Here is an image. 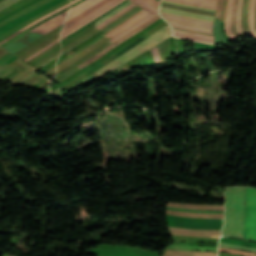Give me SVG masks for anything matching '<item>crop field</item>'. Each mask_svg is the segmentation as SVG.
Returning a JSON list of instances; mask_svg holds the SVG:
<instances>
[{
	"instance_id": "obj_28",
	"label": "crop field",
	"mask_w": 256,
	"mask_h": 256,
	"mask_svg": "<svg viewBox=\"0 0 256 256\" xmlns=\"http://www.w3.org/2000/svg\"><path fill=\"white\" fill-rule=\"evenodd\" d=\"M219 246H222V247H230V248H237V249H242V250H246V251H250V252L256 253V248L238 246V245H233V244H228V243H222V242H220Z\"/></svg>"
},
{
	"instance_id": "obj_27",
	"label": "crop field",
	"mask_w": 256,
	"mask_h": 256,
	"mask_svg": "<svg viewBox=\"0 0 256 256\" xmlns=\"http://www.w3.org/2000/svg\"><path fill=\"white\" fill-rule=\"evenodd\" d=\"M219 251L228 252V253H232V254H238V255H244V256H256V254H254V253L243 252V251L232 250V249L221 248V247H219Z\"/></svg>"
},
{
	"instance_id": "obj_11",
	"label": "crop field",
	"mask_w": 256,
	"mask_h": 256,
	"mask_svg": "<svg viewBox=\"0 0 256 256\" xmlns=\"http://www.w3.org/2000/svg\"><path fill=\"white\" fill-rule=\"evenodd\" d=\"M150 13L146 12V11H142L141 13H139L137 16H135L134 18H132L131 20L127 21L126 23H124L123 25L117 27L116 29H114L113 31H111L110 33H108L106 36H111L114 37L117 34L121 33L122 31H124L126 28H128L129 26L133 25L135 22H137L139 19L143 18L144 16L148 15Z\"/></svg>"
},
{
	"instance_id": "obj_29",
	"label": "crop field",
	"mask_w": 256,
	"mask_h": 256,
	"mask_svg": "<svg viewBox=\"0 0 256 256\" xmlns=\"http://www.w3.org/2000/svg\"><path fill=\"white\" fill-rule=\"evenodd\" d=\"M122 1H124V0L119 1V2L116 3L115 5H113L112 7H110L109 9H107L106 11H104L103 13H101V14L97 15L96 17H94L93 19H95V18L101 16L102 14L106 13V12L109 11L110 9H112V8H114L115 6H117L118 4H120ZM93 19H91V20L85 22L84 24L80 25V26L77 27L76 29H74V30H72L71 32L67 33L66 35H64L63 37H61V39H63V38L66 37L67 35L71 34V33L74 32L75 30L79 29V28L82 27L83 25L87 24L88 22L92 21Z\"/></svg>"
},
{
	"instance_id": "obj_9",
	"label": "crop field",
	"mask_w": 256,
	"mask_h": 256,
	"mask_svg": "<svg viewBox=\"0 0 256 256\" xmlns=\"http://www.w3.org/2000/svg\"><path fill=\"white\" fill-rule=\"evenodd\" d=\"M167 207L200 209V210H224V206H218V205H196V204H181V203H168Z\"/></svg>"
},
{
	"instance_id": "obj_4",
	"label": "crop field",
	"mask_w": 256,
	"mask_h": 256,
	"mask_svg": "<svg viewBox=\"0 0 256 256\" xmlns=\"http://www.w3.org/2000/svg\"><path fill=\"white\" fill-rule=\"evenodd\" d=\"M167 224L195 229H221L223 219H196L167 215Z\"/></svg>"
},
{
	"instance_id": "obj_20",
	"label": "crop field",
	"mask_w": 256,
	"mask_h": 256,
	"mask_svg": "<svg viewBox=\"0 0 256 256\" xmlns=\"http://www.w3.org/2000/svg\"><path fill=\"white\" fill-rule=\"evenodd\" d=\"M255 8H256V0H251L250 8H249V22H250L251 31L256 39V32L254 28Z\"/></svg>"
},
{
	"instance_id": "obj_26",
	"label": "crop field",
	"mask_w": 256,
	"mask_h": 256,
	"mask_svg": "<svg viewBox=\"0 0 256 256\" xmlns=\"http://www.w3.org/2000/svg\"><path fill=\"white\" fill-rule=\"evenodd\" d=\"M144 0H135L133 1L135 4H137L138 6L142 7L143 9L153 13V14H157V8L151 6V5H148L146 3L143 2Z\"/></svg>"
},
{
	"instance_id": "obj_36",
	"label": "crop field",
	"mask_w": 256,
	"mask_h": 256,
	"mask_svg": "<svg viewBox=\"0 0 256 256\" xmlns=\"http://www.w3.org/2000/svg\"><path fill=\"white\" fill-rule=\"evenodd\" d=\"M58 41H59V39H57L56 41H54L53 43H51V44H50V45H48L47 47H45V48L41 49L40 51H38L37 53H35L32 57H34V56H36L37 54L41 53L42 51L46 50L47 48H49L50 46L54 45V44H55L56 42H58ZM32 57H30V58L26 59L25 61H27V60L31 59Z\"/></svg>"
},
{
	"instance_id": "obj_38",
	"label": "crop field",
	"mask_w": 256,
	"mask_h": 256,
	"mask_svg": "<svg viewBox=\"0 0 256 256\" xmlns=\"http://www.w3.org/2000/svg\"><path fill=\"white\" fill-rule=\"evenodd\" d=\"M135 6V5H134ZM134 6H132L131 8H133ZM131 8H129L128 10H126L125 12H123L122 14H120L119 16L115 17L114 19H112L111 21H109L108 23H106L105 25H103L102 27H100L99 29L105 27L106 25L110 24L111 22H113L114 20H116L118 17H120L121 15H123L124 13H126L127 11H129Z\"/></svg>"
},
{
	"instance_id": "obj_12",
	"label": "crop field",
	"mask_w": 256,
	"mask_h": 256,
	"mask_svg": "<svg viewBox=\"0 0 256 256\" xmlns=\"http://www.w3.org/2000/svg\"><path fill=\"white\" fill-rule=\"evenodd\" d=\"M162 256H216V253L165 250Z\"/></svg>"
},
{
	"instance_id": "obj_42",
	"label": "crop field",
	"mask_w": 256,
	"mask_h": 256,
	"mask_svg": "<svg viewBox=\"0 0 256 256\" xmlns=\"http://www.w3.org/2000/svg\"><path fill=\"white\" fill-rule=\"evenodd\" d=\"M170 24L179 25V24H175V23H170ZM179 26H184V25H179ZM184 27H189V26H184ZM189 28H194V27H189ZM195 29L207 30V31H211L212 32V30H210V29H202V28H195Z\"/></svg>"
},
{
	"instance_id": "obj_49",
	"label": "crop field",
	"mask_w": 256,
	"mask_h": 256,
	"mask_svg": "<svg viewBox=\"0 0 256 256\" xmlns=\"http://www.w3.org/2000/svg\"><path fill=\"white\" fill-rule=\"evenodd\" d=\"M133 1V0H132Z\"/></svg>"
},
{
	"instance_id": "obj_2",
	"label": "crop field",
	"mask_w": 256,
	"mask_h": 256,
	"mask_svg": "<svg viewBox=\"0 0 256 256\" xmlns=\"http://www.w3.org/2000/svg\"><path fill=\"white\" fill-rule=\"evenodd\" d=\"M171 28L167 25L155 34L151 35L145 41L131 49L130 51L124 53L123 55L119 56L115 61L110 63L109 65L93 72L100 78L103 77L105 74L113 71L117 67H119L124 62L134 58L135 56L139 55L143 51L147 50L148 48L158 44L159 42L163 41L164 39L170 37Z\"/></svg>"
},
{
	"instance_id": "obj_14",
	"label": "crop field",
	"mask_w": 256,
	"mask_h": 256,
	"mask_svg": "<svg viewBox=\"0 0 256 256\" xmlns=\"http://www.w3.org/2000/svg\"><path fill=\"white\" fill-rule=\"evenodd\" d=\"M183 4L196 5L216 9L217 2L210 0H171Z\"/></svg>"
},
{
	"instance_id": "obj_35",
	"label": "crop field",
	"mask_w": 256,
	"mask_h": 256,
	"mask_svg": "<svg viewBox=\"0 0 256 256\" xmlns=\"http://www.w3.org/2000/svg\"><path fill=\"white\" fill-rule=\"evenodd\" d=\"M141 11H142V9H140V10H138L137 12L133 13V14L130 15L128 18H126L124 21H122L121 23H119L117 26H119V25L122 24L123 22L129 20L130 18L134 17L135 15H137V14H138L139 12H141ZM117 26H115L114 28H116ZM114 28H112L111 30H113ZM111 30H109L108 32H110ZM108 32H107V33H108ZM107 33H105V34H107ZM105 34H104V35H105Z\"/></svg>"
},
{
	"instance_id": "obj_25",
	"label": "crop field",
	"mask_w": 256,
	"mask_h": 256,
	"mask_svg": "<svg viewBox=\"0 0 256 256\" xmlns=\"http://www.w3.org/2000/svg\"><path fill=\"white\" fill-rule=\"evenodd\" d=\"M161 5H163V6H168V7H172V8H177V9H181V10L192 11V12H197V13H202V14H208V15H213V16H215V13H213V12H208V11H204V10H198V9L180 7V6H175V5H171V4H167V3H163V2L161 3Z\"/></svg>"
},
{
	"instance_id": "obj_32",
	"label": "crop field",
	"mask_w": 256,
	"mask_h": 256,
	"mask_svg": "<svg viewBox=\"0 0 256 256\" xmlns=\"http://www.w3.org/2000/svg\"><path fill=\"white\" fill-rule=\"evenodd\" d=\"M222 4H223V0H218L216 18L219 20L221 18Z\"/></svg>"
},
{
	"instance_id": "obj_16",
	"label": "crop field",
	"mask_w": 256,
	"mask_h": 256,
	"mask_svg": "<svg viewBox=\"0 0 256 256\" xmlns=\"http://www.w3.org/2000/svg\"><path fill=\"white\" fill-rule=\"evenodd\" d=\"M233 1L234 0H229L228 2V8H227V14H226V20H225V32L230 38V40L233 43H235L237 40L234 38L233 34L230 31V21H231V13L233 8Z\"/></svg>"
},
{
	"instance_id": "obj_13",
	"label": "crop field",
	"mask_w": 256,
	"mask_h": 256,
	"mask_svg": "<svg viewBox=\"0 0 256 256\" xmlns=\"http://www.w3.org/2000/svg\"><path fill=\"white\" fill-rule=\"evenodd\" d=\"M167 214L189 216V217H201V218H223V214H204V213H188L167 210Z\"/></svg>"
},
{
	"instance_id": "obj_46",
	"label": "crop field",
	"mask_w": 256,
	"mask_h": 256,
	"mask_svg": "<svg viewBox=\"0 0 256 256\" xmlns=\"http://www.w3.org/2000/svg\"><path fill=\"white\" fill-rule=\"evenodd\" d=\"M255 28H256V18H255Z\"/></svg>"
},
{
	"instance_id": "obj_18",
	"label": "crop field",
	"mask_w": 256,
	"mask_h": 256,
	"mask_svg": "<svg viewBox=\"0 0 256 256\" xmlns=\"http://www.w3.org/2000/svg\"><path fill=\"white\" fill-rule=\"evenodd\" d=\"M166 249H174V250H197V251H216L217 247H201V246H186V245H169Z\"/></svg>"
},
{
	"instance_id": "obj_10",
	"label": "crop field",
	"mask_w": 256,
	"mask_h": 256,
	"mask_svg": "<svg viewBox=\"0 0 256 256\" xmlns=\"http://www.w3.org/2000/svg\"><path fill=\"white\" fill-rule=\"evenodd\" d=\"M100 1L101 0H85V1L81 2L80 4L70 8L67 20L75 17L76 15H78L79 13L84 11L85 9L95 5L96 3L100 2Z\"/></svg>"
},
{
	"instance_id": "obj_39",
	"label": "crop field",
	"mask_w": 256,
	"mask_h": 256,
	"mask_svg": "<svg viewBox=\"0 0 256 256\" xmlns=\"http://www.w3.org/2000/svg\"><path fill=\"white\" fill-rule=\"evenodd\" d=\"M145 2H147V3H149V4H151V5H153V6L158 8V3L159 2L156 1V0H145Z\"/></svg>"
},
{
	"instance_id": "obj_43",
	"label": "crop field",
	"mask_w": 256,
	"mask_h": 256,
	"mask_svg": "<svg viewBox=\"0 0 256 256\" xmlns=\"http://www.w3.org/2000/svg\"><path fill=\"white\" fill-rule=\"evenodd\" d=\"M8 51L6 50V49H1L0 50V58L3 56V55H5L6 53H7Z\"/></svg>"
},
{
	"instance_id": "obj_21",
	"label": "crop field",
	"mask_w": 256,
	"mask_h": 256,
	"mask_svg": "<svg viewBox=\"0 0 256 256\" xmlns=\"http://www.w3.org/2000/svg\"><path fill=\"white\" fill-rule=\"evenodd\" d=\"M242 4L243 0H238L237 9H236V29L239 34H243V28L241 26V13H242Z\"/></svg>"
},
{
	"instance_id": "obj_8",
	"label": "crop field",
	"mask_w": 256,
	"mask_h": 256,
	"mask_svg": "<svg viewBox=\"0 0 256 256\" xmlns=\"http://www.w3.org/2000/svg\"><path fill=\"white\" fill-rule=\"evenodd\" d=\"M173 35L176 37H179V38L197 40V41H202V42H209V43L214 42V37H212V36L197 34V33H192V32H186V31H181V30L173 29Z\"/></svg>"
},
{
	"instance_id": "obj_45",
	"label": "crop field",
	"mask_w": 256,
	"mask_h": 256,
	"mask_svg": "<svg viewBox=\"0 0 256 256\" xmlns=\"http://www.w3.org/2000/svg\"><path fill=\"white\" fill-rule=\"evenodd\" d=\"M77 1H79V0H75V1L71 2V4H73V3L77 2Z\"/></svg>"
},
{
	"instance_id": "obj_48",
	"label": "crop field",
	"mask_w": 256,
	"mask_h": 256,
	"mask_svg": "<svg viewBox=\"0 0 256 256\" xmlns=\"http://www.w3.org/2000/svg\"><path fill=\"white\" fill-rule=\"evenodd\" d=\"M217 1V0H216Z\"/></svg>"
},
{
	"instance_id": "obj_6",
	"label": "crop field",
	"mask_w": 256,
	"mask_h": 256,
	"mask_svg": "<svg viewBox=\"0 0 256 256\" xmlns=\"http://www.w3.org/2000/svg\"><path fill=\"white\" fill-rule=\"evenodd\" d=\"M159 17V15L157 14L155 17H153L151 20H149L148 22H146L145 24L141 25L140 27H138L137 29L131 31L130 33H128L126 36H124L123 38L113 42L111 45H109L108 47H106L104 50H102L100 53H98L97 55L93 56L92 58L86 60L85 62H83L82 64H80L78 67L81 69L84 66H86L87 64L97 60L100 56H102L103 54H105L106 52H108L109 50H111L112 48L116 47L117 45H119L120 43H122L123 41L127 40L128 38H130L131 36H133L134 34L138 33L139 31L143 30L144 28H146L147 26H149L151 23H153L154 21H156Z\"/></svg>"
},
{
	"instance_id": "obj_44",
	"label": "crop field",
	"mask_w": 256,
	"mask_h": 256,
	"mask_svg": "<svg viewBox=\"0 0 256 256\" xmlns=\"http://www.w3.org/2000/svg\"><path fill=\"white\" fill-rule=\"evenodd\" d=\"M219 256H235V255H229V254H222V253H219Z\"/></svg>"
},
{
	"instance_id": "obj_24",
	"label": "crop field",
	"mask_w": 256,
	"mask_h": 256,
	"mask_svg": "<svg viewBox=\"0 0 256 256\" xmlns=\"http://www.w3.org/2000/svg\"><path fill=\"white\" fill-rule=\"evenodd\" d=\"M153 16L150 14L147 17L141 19L140 21H138L136 24H134L132 27H130L129 29H127L126 31L122 32L121 34H119L118 36L114 37L113 39H111L110 41H115L118 38L124 36L125 34H127L129 31H131L132 29L140 26L141 24L145 23L146 21H148L150 18H152Z\"/></svg>"
},
{
	"instance_id": "obj_22",
	"label": "crop field",
	"mask_w": 256,
	"mask_h": 256,
	"mask_svg": "<svg viewBox=\"0 0 256 256\" xmlns=\"http://www.w3.org/2000/svg\"><path fill=\"white\" fill-rule=\"evenodd\" d=\"M67 6H69V3H68V4H66V5H64V6H62V7H60L59 9H57V10H55V11H53V12H51V13L47 14L46 16H44V17H42V18L38 19L37 21H35V22H33V23L29 24L28 26H26V27L22 28L19 32L26 30L27 28H29V27L33 26L34 24H36V23H38V22L42 21L43 19H45V18L49 17L50 15H52V14H54V13H56V12L60 11L61 9L65 8V7H67ZM19 32H17V33H15V34H13V35H12V36H10L9 38H7V39H5L4 41H2V42L0 43V45H1V44H3L4 42L8 41V40H9V39H11L12 37H14V36H15L16 34H18Z\"/></svg>"
},
{
	"instance_id": "obj_31",
	"label": "crop field",
	"mask_w": 256,
	"mask_h": 256,
	"mask_svg": "<svg viewBox=\"0 0 256 256\" xmlns=\"http://www.w3.org/2000/svg\"><path fill=\"white\" fill-rule=\"evenodd\" d=\"M17 1H19V0H5V1L1 2L0 3V10L10 6L11 4H13V3H15Z\"/></svg>"
},
{
	"instance_id": "obj_5",
	"label": "crop field",
	"mask_w": 256,
	"mask_h": 256,
	"mask_svg": "<svg viewBox=\"0 0 256 256\" xmlns=\"http://www.w3.org/2000/svg\"><path fill=\"white\" fill-rule=\"evenodd\" d=\"M244 238L256 240V189L248 188Z\"/></svg>"
},
{
	"instance_id": "obj_47",
	"label": "crop field",
	"mask_w": 256,
	"mask_h": 256,
	"mask_svg": "<svg viewBox=\"0 0 256 256\" xmlns=\"http://www.w3.org/2000/svg\"><path fill=\"white\" fill-rule=\"evenodd\" d=\"M10 256V255H9Z\"/></svg>"
},
{
	"instance_id": "obj_30",
	"label": "crop field",
	"mask_w": 256,
	"mask_h": 256,
	"mask_svg": "<svg viewBox=\"0 0 256 256\" xmlns=\"http://www.w3.org/2000/svg\"><path fill=\"white\" fill-rule=\"evenodd\" d=\"M236 4H237V0H235L234 2V8H233V13H232V24H231V30L233 32V34L236 36V38H239L235 28H234V21H235V9H236Z\"/></svg>"
},
{
	"instance_id": "obj_23",
	"label": "crop field",
	"mask_w": 256,
	"mask_h": 256,
	"mask_svg": "<svg viewBox=\"0 0 256 256\" xmlns=\"http://www.w3.org/2000/svg\"><path fill=\"white\" fill-rule=\"evenodd\" d=\"M131 2H126L123 5H121L120 7L116 8L115 10H113L112 12L108 13L107 15H105L104 17L100 18L98 21L95 22V26L99 25L100 23H102L103 21L107 20L108 18L114 16L115 14H117L119 11H121L123 8H125L126 6H128Z\"/></svg>"
},
{
	"instance_id": "obj_34",
	"label": "crop field",
	"mask_w": 256,
	"mask_h": 256,
	"mask_svg": "<svg viewBox=\"0 0 256 256\" xmlns=\"http://www.w3.org/2000/svg\"><path fill=\"white\" fill-rule=\"evenodd\" d=\"M163 2H167V3H171V4H175V5H181V6H186V7H192V8H198V9H204V10H209V11H213L215 12V10L213 9H205V8H199V7H193V6H187V5H183V4H179V3H175V2H171V1H165L162 0Z\"/></svg>"
},
{
	"instance_id": "obj_1",
	"label": "crop field",
	"mask_w": 256,
	"mask_h": 256,
	"mask_svg": "<svg viewBox=\"0 0 256 256\" xmlns=\"http://www.w3.org/2000/svg\"><path fill=\"white\" fill-rule=\"evenodd\" d=\"M246 187L225 190L226 211L222 236L242 238Z\"/></svg>"
},
{
	"instance_id": "obj_15",
	"label": "crop field",
	"mask_w": 256,
	"mask_h": 256,
	"mask_svg": "<svg viewBox=\"0 0 256 256\" xmlns=\"http://www.w3.org/2000/svg\"><path fill=\"white\" fill-rule=\"evenodd\" d=\"M111 0H103L100 3H98L97 5L93 6L92 8L88 9L87 11L81 13L80 15L76 16L75 18L71 19L70 21L66 22L65 27L75 23L76 21L86 17L87 15H89L90 13L94 12L95 10L99 9L100 7L104 6L105 4H107L108 2H110ZM64 27V28H65Z\"/></svg>"
},
{
	"instance_id": "obj_37",
	"label": "crop field",
	"mask_w": 256,
	"mask_h": 256,
	"mask_svg": "<svg viewBox=\"0 0 256 256\" xmlns=\"http://www.w3.org/2000/svg\"><path fill=\"white\" fill-rule=\"evenodd\" d=\"M227 1H228V0H225V2H224L221 21H224V19H225L226 8H227Z\"/></svg>"
},
{
	"instance_id": "obj_40",
	"label": "crop field",
	"mask_w": 256,
	"mask_h": 256,
	"mask_svg": "<svg viewBox=\"0 0 256 256\" xmlns=\"http://www.w3.org/2000/svg\"><path fill=\"white\" fill-rule=\"evenodd\" d=\"M132 5H134V4H133V3L130 4V5H129L128 7H126L124 10L128 9V8L131 7ZM124 10H122L121 12H123ZM121 12H119L118 14H120ZM118 14H117V15H118ZM117 15H115V16H117ZM115 16H114V17H115ZM114 17H112V18H114ZM112 18L108 19L107 21H105V22L102 23L101 25L105 24L106 22H108V21L111 20ZM101 25H100V26H101ZM100 26H98V27H100Z\"/></svg>"
},
{
	"instance_id": "obj_7",
	"label": "crop field",
	"mask_w": 256,
	"mask_h": 256,
	"mask_svg": "<svg viewBox=\"0 0 256 256\" xmlns=\"http://www.w3.org/2000/svg\"><path fill=\"white\" fill-rule=\"evenodd\" d=\"M67 11L33 28L32 32L47 34L54 28L64 23Z\"/></svg>"
},
{
	"instance_id": "obj_17",
	"label": "crop field",
	"mask_w": 256,
	"mask_h": 256,
	"mask_svg": "<svg viewBox=\"0 0 256 256\" xmlns=\"http://www.w3.org/2000/svg\"><path fill=\"white\" fill-rule=\"evenodd\" d=\"M119 0H113L110 3H108L107 5H105L104 7L100 8L99 10H97L96 12L92 13L91 15L87 16L86 18L80 20L79 22L75 23L74 25L68 27L67 29L63 30L61 33V36L64 35L66 32L72 30L73 28L77 27L78 25L84 23L85 21L89 20L90 18L94 17L95 15L99 14L100 12H102L104 9L112 6L113 4H115L116 2H118Z\"/></svg>"
},
{
	"instance_id": "obj_19",
	"label": "crop field",
	"mask_w": 256,
	"mask_h": 256,
	"mask_svg": "<svg viewBox=\"0 0 256 256\" xmlns=\"http://www.w3.org/2000/svg\"><path fill=\"white\" fill-rule=\"evenodd\" d=\"M249 1L250 0H244L243 5V13H242V26L244 28V31L246 35H252L250 28L248 26V7H249Z\"/></svg>"
},
{
	"instance_id": "obj_3",
	"label": "crop field",
	"mask_w": 256,
	"mask_h": 256,
	"mask_svg": "<svg viewBox=\"0 0 256 256\" xmlns=\"http://www.w3.org/2000/svg\"><path fill=\"white\" fill-rule=\"evenodd\" d=\"M160 12L170 14V15L200 19V20L211 21V22H213L214 18H215L213 16L190 13V12L180 11V10L167 8V7H163V6H161ZM162 13H160V14L163 16V18H165L167 21H170V22H175V23H180V24L195 26V27L210 28V29H212V27H213V23H211V22L175 17V16H170V15H166V14H162Z\"/></svg>"
},
{
	"instance_id": "obj_41",
	"label": "crop field",
	"mask_w": 256,
	"mask_h": 256,
	"mask_svg": "<svg viewBox=\"0 0 256 256\" xmlns=\"http://www.w3.org/2000/svg\"><path fill=\"white\" fill-rule=\"evenodd\" d=\"M172 27H176V26H172ZM176 28H182V27H176ZM182 29H188V30H193V31H197V32H202V33H210V32H206V31L195 30V29H189V28H182Z\"/></svg>"
},
{
	"instance_id": "obj_33",
	"label": "crop field",
	"mask_w": 256,
	"mask_h": 256,
	"mask_svg": "<svg viewBox=\"0 0 256 256\" xmlns=\"http://www.w3.org/2000/svg\"><path fill=\"white\" fill-rule=\"evenodd\" d=\"M152 51V54H153V57L155 59V62H160V57H159V53H158V50H157V47H154L153 49H151Z\"/></svg>"
}]
</instances>
